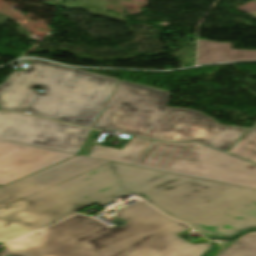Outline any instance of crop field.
I'll use <instances>...</instances> for the list:
<instances>
[{"label":"crop field","mask_w":256,"mask_h":256,"mask_svg":"<svg viewBox=\"0 0 256 256\" xmlns=\"http://www.w3.org/2000/svg\"><path fill=\"white\" fill-rule=\"evenodd\" d=\"M169 94L120 81L94 128L156 140L198 141L224 152L248 130L222 126L195 110L165 107Z\"/></svg>","instance_id":"obj_4"},{"label":"crop field","mask_w":256,"mask_h":256,"mask_svg":"<svg viewBox=\"0 0 256 256\" xmlns=\"http://www.w3.org/2000/svg\"><path fill=\"white\" fill-rule=\"evenodd\" d=\"M117 210L122 227L75 215L4 246L0 256H201L210 244H191L175 234L191 227L140 198Z\"/></svg>","instance_id":"obj_2"},{"label":"crop field","mask_w":256,"mask_h":256,"mask_svg":"<svg viewBox=\"0 0 256 256\" xmlns=\"http://www.w3.org/2000/svg\"><path fill=\"white\" fill-rule=\"evenodd\" d=\"M91 130L19 113H0V139L78 154Z\"/></svg>","instance_id":"obj_6"},{"label":"crop field","mask_w":256,"mask_h":256,"mask_svg":"<svg viewBox=\"0 0 256 256\" xmlns=\"http://www.w3.org/2000/svg\"><path fill=\"white\" fill-rule=\"evenodd\" d=\"M73 156L0 140V185L4 186Z\"/></svg>","instance_id":"obj_8"},{"label":"crop field","mask_w":256,"mask_h":256,"mask_svg":"<svg viewBox=\"0 0 256 256\" xmlns=\"http://www.w3.org/2000/svg\"><path fill=\"white\" fill-rule=\"evenodd\" d=\"M108 162L109 161L76 156L51 168L21 179L9 186L0 187V208Z\"/></svg>","instance_id":"obj_7"},{"label":"crop field","mask_w":256,"mask_h":256,"mask_svg":"<svg viewBox=\"0 0 256 256\" xmlns=\"http://www.w3.org/2000/svg\"><path fill=\"white\" fill-rule=\"evenodd\" d=\"M253 2H255V3H256V0H253ZM245 14H247V15H249V14H253V16H251V17H253V18H255V19H256V11H254V12H247V13H245Z\"/></svg>","instance_id":"obj_15"},{"label":"crop field","mask_w":256,"mask_h":256,"mask_svg":"<svg viewBox=\"0 0 256 256\" xmlns=\"http://www.w3.org/2000/svg\"><path fill=\"white\" fill-rule=\"evenodd\" d=\"M131 193L206 237L256 228L254 189L111 162L0 209V243Z\"/></svg>","instance_id":"obj_1"},{"label":"crop field","mask_w":256,"mask_h":256,"mask_svg":"<svg viewBox=\"0 0 256 256\" xmlns=\"http://www.w3.org/2000/svg\"><path fill=\"white\" fill-rule=\"evenodd\" d=\"M98 131L92 130L91 134L89 135L88 139L86 140L85 144L83 145L82 149L79 152V155L86 156L91 144L93 143L94 137Z\"/></svg>","instance_id":"obj_14"},{"label":"crop field","mask_w":256,"mask_h":256,"mask_svg":"<svg viewBox=\"0 0 256 256\" xmlns=\"http://www.w3.org/2000/svg\"><path fill=\"white\" fill-rule=\"evenodd\" d=\"M150 142L132 137L121 150L94 145L88 156L133 165Z\"/></svg>","instance_id":"obj_10"},{"label":"crop field","mask_w":256,"mask_h":256,"mask_svg":"<svg viewBox=\"0 0 256 256\" xmlns=\"http://www.w3.org/2000/svg\"><path fill=\"white\" fill-rule=\"evenodd\" d=\"M134 165L256 189V165L196 143L152 141Z\"/></svg>","instance_id":"obj_5"},{"label":"crop field","mask_w":256,"mask_h":256,"mask_svg":"<svg viewBox=\"0 0 256 256\" xmlns=\"http://www.w3.org/2000/svg\"><path fill=\"white\" fill-rule=\"evenodd\" d=\"M227 153L256 163V124L242 135Z\"/></svg>","instance_id":"obj_11"},{"label":"crop field","mask_w":256,"mask_h":256,"mask_svg":"<svg viewBox=\"0 0 256 256\" xmlns=\"http://www.w3.org/2000/svg\"><path fill=\"white\" fill-rule=\"evenodd\" d=\"M220 256H256V232L238 238Z\"/></svg>","instance_id":"obj_12"},{"label":"crop field","mask_w":256,"mask_h":256,"mask_svg":"<svg viewBox=\"0 0 256 256\" xmlns=\"http://www.w3.org/2000/svg\"><path fill=\"white\" fill-rule=\"evenodd\" d=\"M256 60V51L233 50L232 43L199 40L198 64Z\"/></svg>","instance_id":"obj_9"},{"label":"crop field","mask_w":256,"mask_h":256,"mask_svg":"<svg viewBox=\"0 0 256 256\" xmlns=\"http://www.w3.org/2000/svg\"><path fill=\"white\" fill-rule=\"evenodd\" d=\"M0 84V110L92 128L118 79L38 60ZM120 81V80H119ZM41 86L45 91L32 89Z\"/></svg>","instance_id":"obj_3"},{"label":"crop field","mask_w":256,"mask_h":256,"mask_svg":"<svg viewBox=\"0 0 256 256\" xmlns=\"http://www.w3.org/2000/svg\"><path fill=\"white\" fill-rule=\"evenodd\" d=\"M232 243L233 242L216 241L214 243V249L211 252L206 253L205 256H218Z\"/></svg>","instance_id":"obj_13"}]
</instances>
